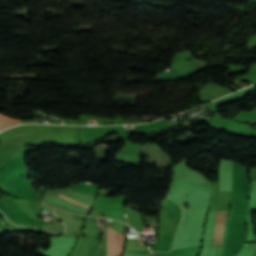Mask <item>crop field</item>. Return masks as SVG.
<instances>
[{
  "instance_id": "crop-field-1",
  "label": "crop field",
  "mask_w": 256,
  "mask_h": 256,
  "mask_svg": "<svg viewBox=\"0 0 256 256\" xmlns=\"http://www.w3.org/2000/svg\"><path fill=\"white\" fill-rule=\"evenodd\" d=\"M104 238L107 239V228H104ZM112 239H113V230L108 228L107 256H112ZM124 240H125L124 234L117 231V252H122ZM114 250H115V231H114V239H113V256H114Z\"/></svg>"
},
{
  "instance_id": "crop-field-2",
  "label": "crop field",
  "mask_w": 256,
  "mask_h": 256,
  "mask_svg": "<svg viewBox=\"0 0 256 256\" xmlns=\"http://www.w3.org/2000/svg\"><path fill=\"white\" fill-rule=\"evenodd\" d=\"M228 212H218L213 244H222Z\"/></svg>"
},
{
  "instance_id": "crop-field-3",
  "label": "crop field",
  "mask_w": 256,
  "mask_h": 256,
  "mask_svg": "<svg viewBox=\"0 0 256 256\" xmlns=\"http://www.w3.org/2000/svg\"><path fill=\"white\" fill-rule=\"evenodd\" d=\"M20 123H21L20 120L7 118L0 114V130L4 129L6 127L20 124Z\"/></svg>"
},
{
  "instance_id": "crop-field-4",
  "label": "crop field",
  "mask_w": 256,
  "mask_h": 256,
  "mask_svg": "<svg viewBox=\"0 0 256 256\" xmlns=\"http://www.w3.org/2000/svg\"><path fill=\"white\" fill-rule=\"evenodd\" d=\"M58 195H60V196H62L61 194H59L58 193ZM62 197H64V196H62ZM65 198H68V199H70V200H73V201H76V202H78V203H81V204H84V205H86V206H91V202H87V201H84V200H81V199H77V198H74V197H71V196H65Z\"/></svg>"
}]
</instances>
